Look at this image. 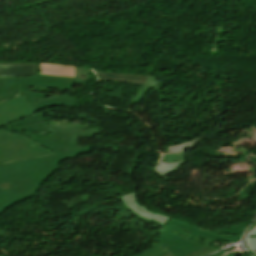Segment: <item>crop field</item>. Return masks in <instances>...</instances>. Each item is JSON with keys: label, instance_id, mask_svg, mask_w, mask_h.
I'll list each match as a JSON object with an SVG mask.
<instances>
[{"label": "crop field", "instance_id": "8a807250", "mask_svg": "<svg viewBox=\"0 0 256 256\" xmlns=\"http://www.w3.org/2000/svg\"><path fill=\"white\" fill-rule=\"evenodd\" d=\"M5 128L52 132L51 136L29 132H22V134L40 143L55 155L0 165V212L20 200L35 196L43 181L60 167L59 161L91 149V146L75 148L78 137L101 133L100 129L51 128L42 113H36Z\"/></svg>", "mask_w": 256, "mask_h": 256}, {"label": "crop field", "instance_id": "ac0d7876", "mask_svg": "<svg viewBox=\"0 0 256 256\" xmlns=\"http://www.w3.org/2000/svg\"><path fill=\"white\" fill-rule=\"evenodd\" d=\"M246 226L241 224L204 230L171 218L161 231L160 243L174 256H203L217 249L210 246L214 240L236 243Z\"/></svg>", "mask_w": 256, "mask_h": 256}, {"label": "crop field", "instance_id": "34b2d1b8", "mask_svg": "<svg viewBox=\"0 0 256 256\" xmlns=\"http://www.w3.org/2000/svg\"><path fill=\"white\" fill-rule=\"evenodd\" d=\"M36 113L25 94L0 104V126L8 125ZM54 154L32 139L0 131V163Z\"/></svg>", "mask_w": 256, "mask_h": 256}, {"label": "crop field", "instance_id": "412701ff", "mask_svg": "<svg viewBox=\"0 0 256 256\" xmlns=\"http://www.w3.org/2000/svg\"><path fill=\"white\" fill-rule=\"evenodd\" d=\"M75 79L43 76V75H33L19 77V87L18 94L25 93L35 108L39 110L41 108L49 106L67 105L74 104L76 98L69 97L68 95H60L56 97L49 98L48 94L36 93L25 91V86H36V87H48V88H59V89H69L71 90Z\"/></svg>", "mask_w": 256, "mask_h": 256}, {"label": "crop field", "instance_id": "f4fd0767", "mask_svg": "<svg viewBox=\"0 0 256 256\" xmlns=\"http://www.w3.org/2000/svg\"><path fill=\"white\" fill-rule=\"evenodd\" d=\"M203 138H205V136L202 138L188 141L180 145L169 146L170 154L163 156V158L157 164L154 171H156L158 174L162 176L168 173L169 171L175 169L179 165L183 164L184 162H186L183 150L188 149L189 147H191L198 141L202 140Z\"/></svg>", "mask_w": 256, "mask_h": 256}, {"label": "crop field", "instance_id": "dd49c442", "mask_svg": "<svg viewBox=\"0 0 256 256\" xmlns=\"http://www.w3.org/2000/svg\"><path fill=\"white\" fill-rule=\"evenodd\" d=\"M119 198L123 202L124 206L128 208L130 211L161 226H164L170 219L169 217L166 216H160L148 212L145 207H142L138 204V200L135 193L122 195L119 196Z\"/></svg>", "mask_w": 256, "mask_h": 256}, {"label": "crop field", "instance_id": "e52e79f7", "mask_svg": "<svg viewBox=\"0 0 256 256\" xmlns=\"http://www.w3.org/2000/svg\"><path fill=\"white\" fill-rule=\"evenodd\" d=\"M38 74V63H0V78Z\"/></svg>", "mask_w": 256, "mask_h": 256}, {"label": "crop field", "instance_id": "d8731c3e", "mask_svg": "<svg viewBox=\"0 0 256 256\" xmlns=\"http://www.w3.org/2000/svg\"><path fill=\"white\" fill-rule=\"evenodd\" d=\"M39 74L76 78L75 67L39 63Z\"/></svg>", "mask_w": 256, "mask_h": 256}, {"label": "crop field", "instance_id": "5a996713", "mask_svg": "<svg viewBox=\"0 0 256 256\" xmlns=\"http://www.w3.org/2000/svg\"><path fill=\"white\" fill-rule=\"evenodd\" d=\"M18 77L0 79V102L17 95Z\"/></svg>", "mask_w": 256, "mask_h": 256}, {"label": "crop field", "instance_id": "3316defc", "mask_svg": "<svg viewBox=\"0 0 256 256\" xmlns=\"http://www.w3.org/2000/svg\"><path fill=\"white\" fill-rule=\"evenodd\" d=\"M101 79L100 80H120L125 82H135L144 83L147 77L141 76H127V75H114V74H101L97 73Z\"/></svg>", "mask_w": 256, "mask_h": 256}, {"label": "crop field", "instance_id": "28ad6ade", "mask_svg": "<svg viewBox=\"0 0 256 256\" xmlns=\"http://www.w3.org/2000/svg\"><path fill=\"white\" fill-rule=\"evenodd\" d=\"M158 83L155 78L152 76H149L147 80L145 81L144 85L142 88L138 91V93L135 95V97L132 99V102H137L140 103L141 98L144 96V94L148 91V89L151 87L153 89L158 88Z\"/></svg>", "mask_w": 256, "mask_h": 256}, {"label": "crop field", "instance_id": "d1516ede", "mask_svg": "<svg viewBox=\"0 0 256 256\" xmlns=\"http://www.w3.org/2000/svg\"><path fill=\"white\" fill-rule=\"evenodd\" d=\"M168 250L164 248L160 243L133 256H163Z\"/></svg>", "mask_w": 256, "mask_h": 256}, {"label": "crop field", "instance_id": "22f410ed", "mask_svg": "<svg viewBox=\"0 0 256 256\" xmlns=\"http://www.w3.org/2000/svg\"><path fill=\"white\" fill-rule=\"evenodd\" d=\"M247 242L253 251L256 252V229L249 234Z\"/></svg>", "mask_w": 256, "mask_h": 256}, {"label": "crop field", "instance_id": "cbeb9de0", "mask_svg": "<svg viewBox=\"0 0 256 256\" xmlns=\"http://www.w3.org/2000/svg\"><path fill=\"white\" fill-rule=\"evenodd\" d=\"M164 256H173L171 252H168L166 255Z\"/></svg>", "mask_w": 256, "mask_h": 256}, {"label": "crop field", "instance_id": "5142ce71", "mask_svg": "<svg viewBox=\"0 0 256 256\" xmlns=\"http://www.w3.org/2000/svg\"><path fill=\"white\" fill-rule=\"evenodd\" d=\"M95 73L98 72V71H95L94 69H92ZM127 75H131V74H127ZM141 76H144V75H141ZM120 82V81H119Z\"/></svg>", "mask_w": 256, "mask_h": 256}]
</instances>
